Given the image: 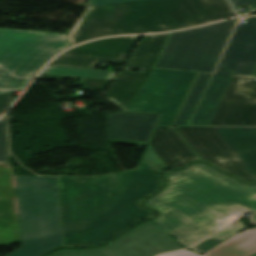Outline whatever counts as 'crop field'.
<instances>
[{"instance_id":"8a807250","label":"crop field","mask_w":256,"mask_h":256,"mask_svg":"<svg viewBox=\"0 0 256 256\" xmlns=\"http://www.w3.org/2000/svg\"><path fill=\"white\" fill-rule=\"evenodd\" d=\"M64 246L98 245L153 214L140 199L161 181L144 162L139 170L95 176L58 177ZM114 194V196H109Z\"/></svg>"},{"instance_id":"ac0d7876","label":"crop field","mask_w":256,"mask_h":256,"mask_svg":"<svg viewBox=\"0 0 256 256\" xmlns=\"http://www.w3.org/2000/svg\"><path fill=\"white\" fill-rule=\"evenodd\" d=\"M164 190L145 204L162 214L154 219L188 247L252 211L256 225V186H247L199 163L165 175Z\"/></svg>"},{"instance_id":"34b2d1b8","label":"crop field","mask_w":256,"mask_h":256,"mask_svg":"<svg viewBox=\"0 0 256 256\" xmlns=\"http://www.w3.org/2000/svg\"><path fill=\"white\" fill-rule=\"evenodd\" d=\"M15 180L22 247L7 256H43L63 246L57 177Z\"/></svg>"},{"instance_id":"412701ff","label":"crop field","mask_w":256,"mask_h":256,"mask_svg":"<svg viewBox=\"0 0 256 256\" xmlns=\"http://www.w3.org/2000/svg\"><path fill=\"white\" fill-rule=\"evenodd\" d=\"M117 6L133 33L176 30L236 14L228 0H144Z\"/></svg>"},{"instance_id":"f4fd0767","label":"crop field","mask_w":256,"mask_h":256,"mask_svg":"<svg viewBox=\"0 0 256 256\" xmlns=\"http://www.w3.org/2000/svg\"><path fill=\"white\" fill-rule=\"evenodd\" d=\"M70 46L68 35L0 28V89L24 90L49 59Z\"/></svg>"},{"instance_id":"dd49c442","label":"crop field","mask_w":256,"mask_h":256,"mask_svg":"<svg viewBox=\"0 0 256 256\" xmlns=\"http://www.w3.org/2000/svg\"><path fill=\"white\" fill-rule=\"evenodd\" d=\"M237 20L172 33L155 67L212 72Z\"/></svg>"},{"instance_id":"e52e79f7","label":"crop field","mask_w":256,"mask_h":256,"mask_svg":"<svg viewBox=\"0 0 256 256\" xmlns=\"http://www.w3.org/2000/svg\"><path fill=\"white\" fill-rule=\"evenodd\" d=\"M197 73L154 69L128 111L160 113L155 125H172Z\"/></svg>"},{"instance_id":"d8731c3e","label":"crop field","mask_w":256,"mask_h":256,"mask_svg":"<svg viewBox=\"0 0 256 256\" xmlns=\"http://www.w3.org/2000/svg\"><path fill=\"white\" fill-rule=\"evenodd\" d=\"M182 248L154 223L148 221L101 249L61 250L51 256H155Z\"/></svg>"},{"instance_id":"5a996713","label":"crop field","mask_w":256,"mask_h":256,"mask_svg":"<svg viewBox=\"0 0 256 256\" xmlns=\"http://www.w3.org/2000/svg\"><path fill=\"white\" fill-rule=\"evenodd\" d=\"M175 128L204 161H208L244 180L255 181L216 127Z\"/></svg>"},{"instance_id":"3316defc","label":"crop field","mask_w":256,"mask_h":256,"mask_svg":"<svg viewBox=\"0 0 256 256\" xmlns=\"http://www.w3.org/2000/svg\"><path fill=\"white\" fill-rule=\"evenodd\" d=\"M232 76L199 73L174 125H209Z\"/></svg>"},{"instance_id":"28ad6ade","label":"crop field","mask_w":256,"mask_h":256,"mask_svg":"<svg viewBox=\"0 0 256 256\" xmlns=\"http://www.w3.org/2000/svg\"><path fill=\"white\" fill-rule=\"evenodd\" d=\"M255 78L233 76L210 125H256Z\"/></svg>"},{"instance_id":"d1516ede","label":"crop field","mask_w":256,"mask_h":256,"mask_svg":"<svg viewBox=\"0 0 256 256\" xmlns=\"http://www.w3.org/2000/svg\"><path fill=\"white\" fill-rule=\"evenodd\" d=\"M138 38L113 37L87 42L56 57L49 65L93 69L97 60L122 64Z\"/></svg>"},{"instance_id":"22f410ed","label":"crop field","mask_w":256,"mask_h":256,"mask_svg":"<svg viewBox=\"0 0 256 256\" xmlns=\"http://www.w3.org/2000/svg\"><path fill=\"white\" fill-rule=\"evenodd\" d=\"M256 67V17L237 25L216 72L252 75Z\"/></svg>"},{"instance_id":"cbeb9de0","label":"crop field","mask_w":256,"mask_h":256,"mask_svg":"<svg viewBox=\"0 0 256 256\" xmlns=\"http://www.w3.org/2000/svg\"><path fill=\"white\" fill-rule=\"evenodd\" d=\"M118 8L116 4L87 7L69 34L71 44L104 35L132 33Z\"/></svg>"},{"instance_id":"5142ce71","label":"crop field","mask_w":256,"mask_h":256,"mask_svg":"<svg viewBox=\"0 0 256 256\" xmlns=\"http://www.w3.org/2000/svg\"><path fill=\"white\" fill-rule=\"evenodd\" d=\"M158 115L138 112L106 115L108 142L146 145Z\"/></svg>"},{"instance_id":"d9b57169","label":"crop field","mask_w":256,"mask_h":256,"mask_svg":"<svg viewBox=\"0 0 256 256\" xmlns=\"http://www.w3.org/2000/svg\"><path fill=\"white\" fill-rule=\"evenodd\" d=\"M149 145L169 169L198 159L172 127H156Z\"/></svg>"},{"instance_id":"733c2abd","label":"crop field","mask_w":256,"mask_h":256,"mask_svg":"<svg viewBox=\"0 0 256 256\" xmlns=\"http://www.w3.org/2000/svg\"><path fill=\"white\" fill-rule=\"evenodd\" d=\"M217 128L256 179V128Z\"/></svg>"},{"instance_id":"4a817a6b","label":"crop field","mask_w":256,"mask_h":256,"mask_svg":"<svg viewBox=\"0 0 256 256\" xmlns=\"http://www.w3.org/2000/svg\"><path fill=\"white\" fill-rule=\"evenodd\" d=\"M256 252V228L246 229L202 256H250ZM161 256H200L188 250Z\"/></svg>"},{"instance_id":"bc2a9ffb","label":"crop field","mask_w":256,"mask_h":256,"mask_svg":"<svg viewBox=\"0 0 256 256\" xmlns=\"http://www.w3.org/2000/svg\"><path fill=\"white\" fill-rule=\"evenodd\" d=\"M169 33L144 36L141 43L135 50L131 60L124 68L125 73H131L130 69L141 70L140 73L150 75L152 67Z\"/></svg>"},{"instance_id":"214f88e0","label":"crop field","mask_w":256,"mask_h":256,"mask_svg":"<svg viewBox=\"0 0 256 256\" xmlns=\"http://www.w3.org/2000/svg\"><path fill=\"white\" fill-rule=\"evenodd\" d=\"M148 78L149 76L144 75L120 73L105 98L127 111Z\"/></svg>"},{"instance_id":"92a150f3","label":"crop field","mask_w":256,"mask_h":256,"mask_svg":"<svg viewBox=\"0 0 256 256\" xmlns=\"http://www.w3.org/2000/svg\"><path fill=\"white\" fill-rule=\"evenodd\" d=\"M244 229L246 228L243 222L236 221L190 249L203 254Z\"/></svg>"},{"instance_id":"dafd665d","label":"crop field","mask_w":256,"mask_h":256,"mask_svg":"<svg viewBox=\"0 0 256 256\" xmlns=\"http://www.w3.org/2000/svg\"><path fill=\"white\" fill-rule=\"evenodd\" d=\"M43 73L113 80L116 72L47 66Z\"/></svg>"},{"instance_id":"00972430","label":"crop field","mask_w":256,"mask_h":256,"mask_svg":"<svg viewBox=\"0 0 256 256\" xmlns=\"http://www.w3.org/2000/svg\"><path fill=\"white\" fill-rule=\"evenodd\" d=\"M63 77H68V76L41 74L38 78L58 81V80H62ZM75 78L82 81L83 83L82 88L89 89V90H97V91L105 90L110 82L108 80H98V79H88V78H78V77H75Z\"/></svg>"},{"instance_id":"a9b5d70f","label":"crop field","mask_w":256,"mask_h":256,"mask_svg":"<svg viewBox=\"0 0 256 256\" xmlns=\"http://www.w3.org/2000/svg\"><path fill=\"white\" fill-rule=\"evenodd\" d=\"M1 161H9L6 137V116L0 119V162Z\"/></svg>"},{"instance_id":"4177f3b9","label":"crop field","mask_w":256,"mask_h":256,"mask_svg":"<svg viewBox=\"0 0 256 256\" xmlns=\"http://www.w3.org/2000/svg\"><path fill=\"white\" fill-rule=\"evenodd\" d=\"M12 94L0 96V115H2L15 101V97H11Z\"/></svg>"},{"instance_id":"730fd06b","label":"crop field","mask_w":256,"mask_h":256,"mask_svg":"<svg viewBox=\"0 0 256 256\" xmlns=\"http://www.w3.org/2000/svg\"><path fill=\"white\" fill-rule=\"evenodd\" d=\"M145 161L150 165V167L156 172H163L159 165L154 161V159L146 152L144 156Z\"/></svg>"},{"instance_id":"eef30255","label":"crop field","mask_w":256,"mask_h":256,"mask_svg":"<svg viewBox=\"0 0 256 256\" xmlns=\"http://www.w3.org/2000/svg\"><path fill=\"white\" fill-rule=\"evenodd\" d=\"M128 1H136V0H90L91 5L120 3V2H128Z\"/></svg>"},{"instance_id":"ae1a2a85","label":"crop field","mask_w":256,"mask_h":256,"mask_svg":"<svg viewBox=\"0 0 256 256\" xmlns=\"http://www.w3.org/2000/svg\"><path fill=\"white\" fill-rule=\"evenodd\" d=\"M147 151L150 153V155L155 159V161L160 165L162 169L167 168L165 164L160 160V158L155 154V152L148 146Z\"/></svg>"},{"instance_id":"d3111659","label":"crop field","mask_w":256,"mask_h":256,"mask_svg":"<svg viewBox=\"0 0 256 256\" xmlns=\"http://www.w3.org/2000/svg\"><path fill=\"white\" fill-rule=\"evenodd\" d=\"M234 6L255 4L256 0H232Z\"/></svg>"},{"instance_id":"750c4746","label":"crop field","mask_w":256,"mask_h":256,"mask_svg":"<svg viewBox=\"0 0 256 256\" xmlns=\"http://www.w3.org/2000/svg\"><path fill=\"white\" fill-rule=\"evenodd\" d=\"M10 92H7V91H0V95L2 94H9Z\"/></svg>"},{"instance_id":"bd1437ed","label":"crop field","mask_w":256,"mask_h":256,"mask_svg":"<svg viewBox=\"0 0 256 256\" xmlns=\"http://www.w3.org/2000/svg\"><path fill=\"white\" fill-rule=\"evenodd\" d=\"M253 75H255L256 76V70H255V72H254V74Z\"/></svg>"},{"instance_id":"1d83c4d3","label":"crop field","mask_w":256,"mask_h":256,"mask_svg":"<svg viewBox=\"0 0 256 256\" xmlns=\"http://www.w3.org/2000/svg\"><path fill=\"white\" fill-rule=\"evenodd\" d=\"M256 256V255H255Z\"/></svg>"}]
</instances>
